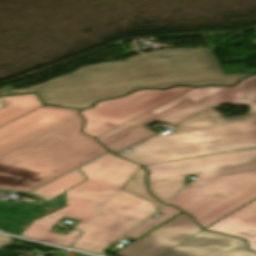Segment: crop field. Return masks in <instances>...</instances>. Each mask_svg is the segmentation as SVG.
Wrapping results in <instances>:
<instances>
[{
	"label": "crop field",
	"mask_w": 256,
	"mask_h": 256,
	"mask_svg": "<svg viewBox=\"0 0 256 256\" xmlns=\"http://www.w3.org/2000/svg\"><path fill=\"white\" fill-rule=\"evenodd\" d=\"M0 192L8 195H10V193L25 194L29 197L39 200L35 204L12 203V202L2 200L0 201L1 214H14V215H24L28 217H41V216L50 214L58 210L59 208L65 206L64 193L47 202L30 193L26 194L22 192H7V191H0Z\"/></svg>",
	"instance_id": "crop-field-10"
},
{
	"label": "crop field",
	"mask_w": 256,
	"mask_h": 256,
	"mask_svg": "<svg viewBox=\"0 0 256 256\" xmlns=\"http://www.w3.org/2000/svg\"><path fill=\"white\" fill-rule=\"evenodd\" d=\"M2 99L6 107L0 109V126L43 106L36 94L2 97Z\"/></svg>",
	"instance_id": "crop-field-12"
},
{
	"label": "crop field",
	"mask_w": 256,
	"mask_h": 256,
	"mask_svg": "<svg viewBox=\"0 0 256 256\" xmlns=\"http://www.w3.org/2000/svg\"><path fill=\"white\" fill-rule=\"evenodd\" d=\"M207 230L246 239L249 249L256 251V201Z\"/></svg>",
	"instance_id": "crop-field-9"
},
{
	"label": "crop field",
	"mask_w": 256,
	"mask_h": 256,
	"mask_svg": "<svg viewBox=\"0 0 256 256\" xmlns=\"http://www.w3.org/2000/svg\"><path fill=\"white\" fill-rule=\"evenodd\" d=\"M242 241L202 230L161 256H216Z\"/></svg>",
	"instance_id": "crop-field-8"
},
{
	"label": "crop field",
	"mask_w": 256,
	"mask_h": 256,
	"mask_svg": "<svg viewBox=\"0 0 256 256\" xmlns=\"http://www.w3.org/2000/svg\"><path fill=\"white\" fill-rule=\"evenodd\" d=\"M221 256H256L255 253L246 250L245 243Z\"/></svg>",
	"instance_id": "crop-field-17"
},
{
	"label": "crop field",
	"mask_w": 256,
	"mask_h": 256,
	"mask_svg": "<svg viewBox=\"0 0 256 256\" xmlns=\"http://www.w3.org/2000/svg\"><path fill=\"white\" fill-rule=\"evenodd\" d=\"M159 211L163 213L161 216H159L156 219L154 218L147 219L145 222H143L141 225H139L137 228H135L132 232H130L126 236L135 239L140 235L144 234L145 232L149 231L150 229L154 228L155 226L171 218L172 216L176 215L177 213L181 212L176 208L168 205H164Z\"/></svg>",
	"instance_id": "crop-field-15"
},
{
	"label": "crop field",
	"mask_w": 256,
	"mask_h": 256,
	"mask_svg": "<svg viewBox=\"0 0 256 256\" xmlns=\"http://www.w3.org/2000/svg\"><path fill=\"white\" fill-rule=\"evenodd\" d=\"M139 165L107 154L80 168L87 181L65 192L66 206L33 221L21 236L69 247L79 232L67 236L49 232L63 217L81 221L74 229L83 232L73 248L98 253L128 232L156 207L120 188Z\"/></svg>",
	"instance_id": "crop-field-3"
},
{
	"label": "crop field",
	"mask_w": 256,
	"mask_h": 256,
	"mask_svg": "<svg viewBox=\"0 0 256 256\" xmlns=\"http://www.w3.org/2000/svg\"><path fill=\"white\" fill-rule=\"evenodd\" d=\"M220 104L251 106L247 115L225 119L211 108L177 126L165 136H155L126 154H116L141 165L256 148V76L236 87L195 88L96 139L110 151H121L155 132L143 125L155 121L174 125Z\"/></svg>",
	"instance_id": "crop-field-1"
},
{
	"label": "crop field",
	"mask_w": 256,
	"mask_h": 256,
	"mask_svg": "<svg viewBox=\"0 0 256 256\" xmlns=\"http://www.w3.org/2000/svg\"><path fill=\"white\" fill-rule=\"evenodd\" d=\"M73 256H86V255H82V254H77V253H74Z\"/></svg>",
	"instance_id": "crop-field-19"
},
{
	"label": "crop field",
	"mask_w": 256,
	"mask_h": 256,
	"mask_svg": "<svg viewBox=\"0 0 256 256\" xmlns=\"http://www.w3.org/2000/svg\"><path fill=\"white\" fill-rule=\"evenodd\" d=\"M77 111L43 106L0 127V189H35L107 152Z\"/></svg>",
	"instance_id": "crop-field-4"
},
{
	"label": "crop field",
	"mask_w": 256,
	"mask_h": 256,
	"mask_svg": "<svg viewBox=\"0 0 256 256\" xmlns=\"http://www.w3.org/2000/svg\"><path fill=\"white\" fill-rule=\"evenodd\" d=\"M252 74L224 75L209 49H167L125 62L85 67L71 75L9 94L37 92L45 104L85 108L95 101L119 97L135 89L232 85Z\"/></svg>",
	"instance_id": "crop-field-2"
},
{
	"label": "crop field",
	"mask_w": 256,
	"mask_h": 256,
	"mask_svg": "<svg viewBox=\"0 0 256 256\" xmlns=\"http://www.w3.org/2000/svg\"><path fill=\"white\" fill-rule=\"evenodd\" d=\"M34 218L0 215V227L6 232L20 235Z\"/></svg>",
	"instance_id": "crop-field-16"
},
{
	"label": "crop field",
	"mask_w": 256,
	"mask_h": 256,
	"mask_svg": "<svg viewBox=\"0 0 256 256\" xmlns=\"http://www.w3.org/2000/svg\"><path fill=\"white\" fill-rule=\"evenodd\" d=\"M201 230L188 215L183 213L117 254L159 256Z\"/></svg>",
	"instance_id": "crop-field-7"
},
{
	"label": "crop field",
	"mask_w": 256,
	"mask_h": 256,
	"mask_svg": "<svg viewBox=\"0 0 256 256\" xmlns=\"http://www.w3.org/2000/svg\"><path fill=\"white\" fill-rule=\"evenodd\" d=\"M190 89L139 90L121 98L98 102L94 108L80 112L86 119L83 132L96 137Z\"/></svg>",
	"instance_id": "crop-field-6"
},
{
	"label": "crop field",
	"mask_w": 256,
	"mask_h": 256,
	"mask_svg": "<svg viewBox=\"0 0 256 256\" xmlns=\"http://www.w3.org/2000/svg\"><path fill=\"white\" fill-rule=\"evenodd\" d=\"M3 107H5V105H4V103H3V101H2V99L0 97V108H3Z\"/></svg>",
	"instance_id": "crop-field-18"
},
{
	"label": "crop field",
	"mask_w": 256,
	"mask_h": 256,
	"mask_svg": "<svg viewBox=\"0 0 256 256\" xmlns=\"http://www.w3.org/2000/svg\"><path fill=\"white\" fill-rule=\"evenodd\" d=\"M202 158L203 157H198L160 164L146 165L145 167L150 171L148 183L151 191H154Z\"/></svg>",
	"instance_id": "crop-field-11"
},
{
	"label": "crop field",
	"mask_w": 256,
	"mask_h": 256,
	"mask_svg": "<svg viewBox=\"0 0 256 256\" xmlns=\"http://www.w3.org/2000/svg\"><path fill=\"white\" fill-rule=\"evenodd\" d=\"M190 174L197 179L167 204L191 214L203 228L256 199V149L208 155L151 194L164 203Z\"/></svg>",
	"instance_id": "crop-field-5"
},
{
	"label": "crop field",
	"mask_w": 256,
	"mask_h": 256,
	"mask_svg": "<svg viewBox=\"0 0 256 256\" xmlns=\"http://www.w3.org/2000/svg\"><path fill=\"white\" fill-rule=\"evenodd\" d=\"M86 180L85 176L77 169L63 177H60L42 187L39 189L31 192L39 197L45 199V200H50L65 190L83 182Z\"/></svg>",
	"instance_id": "crop-field-13"
},
{
	"label": "crop field",
	"mask_w": 256,
	"mask_h": 256,
	"mask_svg": "<svg viewBox=\"0 0 256 256\" xmlns=\"http://www.w3.org/2000/svg\"><path fill=\"white\" fill-rule=\"evenodd\" d=\"M146 173L143 168L139 169L137 173L132 177L128 184L123 188V190L132 193L138 197L145 200L151 201L157 207V209L162 205L154 197H152L146 188L144 178Z\"/></svg>",
	"instance_id": "crop-field-14"
}]
</instances>
